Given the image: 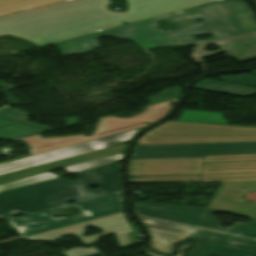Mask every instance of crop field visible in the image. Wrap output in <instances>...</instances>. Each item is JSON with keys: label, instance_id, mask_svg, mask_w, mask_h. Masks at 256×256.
Wrapping results in <instances>:
<instances>
[{"label": "crop field", "instance_id": "11", "mask_svg": "<svg viewBox=\"0 0 256 256\" xmlns=\"http://www.w3.org/2000/svg\"><path fill=\"white\" fill-rule=\"evenodd\" d=\"M141 130V129H140ZM140 130L115 135L39 155L0 164V175L129 141Z\"/></svg>", "mask_w": 256, "mask_h": 256}, {"label": "crop field", "instance_id": "33", "mask_svg": "<svg viewBox=\"0 0 256 256\" xmlns=\"http://www.w3.org/2000/svg\"><path fill=\"white\" fill-rule=\"evenodd\" d=\"M3 1H11V0H0V2H3Z\"/></svg>", "mask_w": 256, "mask_h": 256}, {"label": "crop field", "instance_id": "12", "mask_svg": "<svg viewBox=\"0 0 256 256\" xmlns=\"http://www.w3.org/2000/svg\"><path fill=\"white\" fill-rule=\"evenodd\" d=\"M89 225H94L98 228L103 229L104 233L90 236V237H83L82 235L85 233L84 227ZM127 232H132V230L126 220L124 213L122 212V213L114 214L104 218L96 219L93 221L85 222L82 224H78V225H74V226H70V227H66V228H62V229H58V230H54V231H50L42 234H37V235L25 237V238L47 239V240L54 241L61 236L72 234V235H77L79 238H81L85 244H90V243L96 242L99 236L116 234L120 242V245L125 246L132 243Z\"/></svg>", "mask_w": 256, "mask_h": 256}, {"label": "crop field", "instance_id": "13", "mask_svg": "<svg viewBox=\"0 0 256 256\" xmlns=\"http://www.w3.org/2000/svg\"><path fill=\"white\" fill-rule=\"evenodd\" d=\"M255 190L256 183L221 184L207 207L256 220V205L242 200L247 192Z\"/></svg>", "mask_w": 256, "mask_h": 256}, {"label": "crop field", "instance_id": "7", "mask_svg": "<svg viewBox=\"0 0 256 256\" xmlns=\"http://www.w3.org/2000/svg\"><path fill=\"white\" fill-rule=\"evenodd\" d=\"M256 143H206L136 146L131 159L203 157L205 155L255 154Z\"/></svg>", "mask_w": 256, "mask_h": 256}, {"label": "crop field", "instance_id": "18", "mask_svg": "<svg viewBox=\"0 0 256 256\" xmlns=\"http://www.w3.org/2000/svg\"><path fill=\"white\" fill-rule=\"evenodd\" d=\"M45 130L32 127L29 125L16 123L0 127V139H17L37 133H41Z\"/></svg>", "mask_w": 256, "mask_h": 256}, {"label": "crop field", "instance_id": "30", "mask_svg": "<svg viewBox=\"0 0 256 256\" xmlns=\"http://www.w3.org/2000/svg\"><path fill=\"white\" fill-rule=\"evenodd\" d=\"M0 35H12L18 37L13 27L0 29Z\"/></svg>", "mask_w": 256, "mask_h": 256}, {"label": "crop field", "instance_id": "9", "mask_svg": "<svg viewBox=\"0 0 256 256\" xmlns=\"http://www.w3.org/2000/svg\"><path fill=\"white\" fill-rule=\"evenodd\" d=\"M252 160H256V154L205 156L203 158L130 160L128 176L199 174L202 162Z\"/></svg>", "mask_w": 256, "mask_h": 256}, {"label": "crop field", "instance_id": "6", "mask_svg": "<svg viewBox=\"0 0 256 256\" xmlns=\"http://www.w3.org/2000/svg\"><path fill=\"white\" fill-rule=\"evenodd\" d=\"M134 210L138 215L199 225L256 238V221L253 220L249 224L236 222L232 227L223 229L217 217L211 216L215 210L210 208L134 203Z\"/></svg>", "mask_w": 256, "mask_h": 256}, {"label": "crop field", "instance_id": "20", "mask_svg": "<svg viewBox=\"0 0 256 256\" xmlns=\"http://www.w3.org/2000/svg\"><path fill=\"white\" fill-rule=\"evenodd\" d=\"M124 155H125V153L116 155V156H112V157H108V158H104V159H100V160H96V161H92V162H88V163H84V164H80V165L67 167L64 169H66L67 171H69L71 173H74V172H78V171H82V170H86V169L122 161L124 159Z\"/></svg>", "mask_w": 256, "mask_h": 256}, {"label": "crop field", "instance_id": "27", "mask_svg": "<svg viewBox=\"0 0 256 256\" xmlns=\"http://www.w3.org/2000/svg\"><path fill=\"white\" fill-rule=\"evenodd\" d=\"M192 243H186V244H182L179 246V253L176 256H182L184 250L189 247ZM146 252L148 253V255L150 256H162V255H158L156 253L150 252L148 250H146Z\"/></svg>", "mask_w": 256, "mask_h": 256}, {"label": "crop field", "instance_id": "14", "mask_svg": "<svg viewBox=\"0 0 256 256\" xmlns=\"http://www.w3.org/2000/svg\"><path fill=\"white\" fill-rule=\"evenodd\" d=\"M126 148H127V145L120 144V145H117V146H113V147L93 151V152H90V153L70 157V158H67V159H63V160L43 164V165H40V166L20 170V171H17V172L1 175L0 176V184H4V183L12 182V181H15V180H19V179H23V178H27V177H31V176H35V175H39V174H43V173H47L48 170H51V169H54V168H58V167L59 168H64V167H67V166L80 164V163H84V162H88V161H92V160H96V159H100V158H104V157L124 153L126 151Z\"/></svg>", "mask_w": 256, "mask_h": 256}, {"label": "crop field", "instance_id": "35", "mask_svg": "<svg viewBox=\"0 0 256 256\" xmlns=\"http://www.w3.org/2000/svg\"><path fill=\"white\" fill-rule=\"evenodd\" d=\"M256 3V0H253Z\"/></svg>", "mask_w": 256, "mask_h": 256}, {"label": "crop field", "instance_id": "25", "mask_svg": "<svg viewBox=\"0 0 256 256\" xmlns=\"http://www.w3.org/2000/svg\"><path fill=\"white\" fill-rule=\"evenodd\" d=\"M64 253L67 256H90V255L98 254L99 252L97 251L96 248L92 247V248H89V249L74 248V249L68 250Z\"/></svg>", "mask_w": 256, "mask_h": 256}, {"label": "crop field", "instance_id": "10", "mask_svg": "<svg viewBox=\"0 0 256 256\" xmlns=\"http://www.w3.org/2000/svg\"><path fill=\"white\" fill-rule=\"evenodd\" d=\"M130 183L256 181V161L204 163L201 176L129 179Z\"/></svg>", "mask_w": 256, "mask_h": 256}, {"label": "crop field", "instance_id": "22", "mask_svg": "<svg viewBox=\"0 0 256 256\" xmlns=\"http://www.w3.org/2000/svg\"><path fill=\"white\" fill-rule=\"evenodd\" d=\"M28 115H31V113L22 112L16 108L12 109L10 107H5L0 110V116L18 122L28 121Z\"/></svg>", "mask_w": 256, "mask_h": 256}, {"label": "crop field", "instance_id": "4", "mask_svg": "<svg viewBox=\"0 0 256 256\" xmlns=\"http://www.w3.org/2000/svg\"><path fill=\"white\" fill-rule=\"evenodd\" d=\"M138 217L152 237L151 248L165 254H171L175 244L189 238L199 227L144 216ZM199 228L200 230L191 238L197 243L188 251L187 256H256V239L254 238L204 227Z\"/></svg>", "mask_w": 256, "mask_h": 256}, {"label": "crop field", "instance_id": "21", "mask_svg": "<svg viewBox=\"0 0 256 256\" xmlns=\"http://www.w3.org/2000/svg\"><path fill=\"white\" fill-rule=\"evenodd\" d=\"M54 178H58V176L47 173V174L15 181L12 183L0 185V192L18 188V187H22V186H26V185H30V184H34V183H38V182H42V181H46V180H50V179H54Z\"/></svg>", "mask_w": 256, "mask_h": 256}, {"label": "crop field", "instance_id": "28", "mask_svg": "<svg viewBox=\"0 0 256 256\" xmlns=\"http://www.w3.org/2000/svg\"><path fill=\"white\" fill-rule=\"evenodd\" d=\"M43 226H46V222L27 223V224H24V225L16 228V229L23 228V227H27V228H30V229H35V228H39V227H43Z\"/></svg>", "mask_w": 256, "mask_h": 256}, {"label": "crop field", "instance_id": "32", "mask_svg": "<svg viewBox=\"0 0 256 256\" xmlns=\"http://www.w3.org/2000/svg\"><path fill=\"white\" fill-rule=\"evenodd\" d=\"M11 123H16V122H10V121H7V120H4V119L0 118V126L1 125H6V124H11Z\"/></svg>", "mask_w": 256, "mask_h": 256}, {"label": "crop field", "instance_id": "2", "mask_svg": "<svg viewBox=\"0 0 256 256\" xmlns=\"http://www.w3.org/2000/svg\"><path fill=\"white\" fill-rule=\"evenodd\" d=\"M197 17H201L204 21H195L194 18ZM160 20H167L176 25L175 31L167 32L157 28L156 21ZM130 29L133 30L130 31ZM255 30L256 17L246 3L242 0H221L56 44L64 55H68L99 48L96 39L98 36L129 39L138 42L140 48L146 49L180 43L199 44ZM207 33H212L215 37L199 41L194 37V35ZM143 34L146 35L143 36Z\"/></svg>", "mask_w": 256, "mask_h": 256}, {"label": "crop field", "instance_id": "17", "mask_svg": "<svg viewBox=\"0 0 256 256\" xmlns=\"http://www.w3.org/2000/svg\"><path fill=\"white\" fill-rule=\"evenodd\" d=\"M63 0H17L11 2L0 3V16L14 13L16 11H24L35 7H40Z\"/></svg>", "mask_w": 256, "mask_h": 256}, {"label": "crop field", "instance_id": "8", "mask_svg": "<svg viewBox=\"0 0 256 256\" xmlns=\"http://www.w3.org/2000/svg\"><path fill=\"white\" fill-rule=\"evenodd\" d=\"M74 204H76L79 209L90 212L91 216L83 217L78 220H75L73 218L54 219L52 218L50 213V210H53V209H49V210L37 212L34 214L11 219L10 222L12 223L13 227H18L27 222L47 221V226L43 228H39L35 230L24 228V229L18 230L19 233L23 237H25L41 231H45V230H49V229L61 227L64 225H68V224H72V223H76V222H80V221H84V220H88V219H92V218H96V217L121 211L118 192L93 198V199H89V200H85V201L74 203ZM70 205H73V204H70ZM66 206H69V205H66ZM62 207H65V206H62ZM58 208H61V207H58ZM54 209H57V208H54Z\"/></svg>", "mask_w": 256, "mask_h": 256}, {"label": "crop field", "instance_id": "29", "mask_svg": "<svg viewBox=\"0 0 256 256\" xmlns=\"http://www.w3.org/2000/svg\"><path fill=\"white\" fill-rule=\"evenodd\" d=\"M254 58H256V52L248 54V55H244V56H241V57H238V58H234V59L237 62L241 63V62L248 61V60H251V59H254Z\"/></svg>", "mask_w": 256, "mask_h": 256}, {"label": "crop field", "instance_id": "19", "mask_svg": "<svg viewBox=\"0 0 256 256\" xmlns=\"http://www.w3.org/2000/svg\"><path fill=\"white\" fill-rule=\"evenodd\" d=\"M177 120L222 124V125H227L228 123L227 120L223 119L222 113L191 111V110L183 111L182 115Z\"/></svg>", "mask_w": 256, "mask_h": 256}, {"label": "crop field", "instance_id": "16", "mask_svg": "<svg viewBox=\"0 0 256 256\" xmlns=\"http://www.w3.org/2000/svg\"><path fill=\"white\" fill-rule=\"evenodd\" d=\"M194 89L206 90L212 92L225 93L236 96H249L256 94V88L243 87L233 84H228L220 81H215L211 79H204L195 84Z\"/></svg>", "mask_w": 256, "mask_h": 256}, {"label": "crop field", "instance_id": "26", "mask_svg": "<svg viewBox=\"0 0 256 256\" xmlns=\"http://www.w3.org/2000/svg\"><path fill=\"white\" fill-rule=\"evenodd\" d=\"M0 87L3 89V91L6 93L7 95V101L10 104H17L19 103L18 100H16L12 95H10L7 91L10 89L9 86L7 84L4 83H0Z\"/></svg>", "mask_w": 256, "mask_h": 256}, {"label": "crop field", "instance_id": "1", "mask_svg": "<svg viewBox=\"0 0 256 256\" xmlns=\"http://www.w3.org/2000/svg\"><path fill=\"white\" fill-rule=\"evenodd\" d=\"M217 0H127L128 11L108 9L110 0H66L0 18L18 36L37 46L177 12Z\"/></svg>", "mask_w": 256, "mask_h": 256}, {"label": "crop field", "instance_id": "23", "mask_svg": "<svg viewBox=\"0 0 256 256\" xmlns=\"http://www.w3.org/2000/svg\"><path fill=\"white\" fill-rule=\"evenodd\" d=\"M179 93L180 92H179V86H178V87L163 90L162 92H159L156 96L147 98V100L150 102V104H152V103L179 97L180 96Z\"/></svg>", "mask_w": 256, "mask_h": 256}, {"label": "crop field", "instance_id": "5", "mask_svg": "<svg viewBox=\"0 0 256 256\" xmlns=\"http://www.w3.org/2000/svg\"><path fill=\"white\" fill-rule=\"evenodd\" d=\"M181 97L153 104L148 106L145 109V112L142 114H138L136 116H133L131 118H118V117H105V118H99V123L96 126V131L93 136L90 137H85L84 135H77V136H69V137H60V138H42L40 134L29 136L26 138H21L17 140H13L12 142L23 140L26 142V145L30 146L31 149L28 150L30 155H35L135 129H139L144 126H148V124L144 122H148L150 124H153L162 118H164L174 107H170L169 103L175 102L177 103ZM144 123V124H140ZM135 124H140V125H135ZM135 125V126H131ZM126 126H131V127H126ZM126 127V128H122ZM117 128H122L118 130H113ZM108 130H113L109 132H104ZM99 132H104L100 134H96Z\"/></svg>", "mask_w": 256, "mask_h": 256}, {"label": "crop field", "instance_id": "3", "mask_svg": "<svg viewBox=\"0 0 256 256\" xmlns=\"http://www.w3.org/2000/svg\"><path fill=\"white\" fill-rule=\"evenodd\" d=\"M121 164L115 163L79 173V181L58 178L39 184L0 193V218L11 219L14 214H28L65 205L124 189L120 175ZM97 184L99 190L90 191Z\"/></svg>", "mask_w": 256, "mask_h": 256}, {"label": "crop field", "instance_id": "15", "mask_svg": "<svg viewBox=\"0 0 256 256\" xmlns=\"http://www.w3.org/2000/svg\"><path fill=\"white\" fill-rule=\"evenodd\" d=\"M216 43L222 49L214 52H205L203 48L206 45ZM194 54L192 57L197 63L203 62L201 58L211 56L218 52L226 51L232 58L241 56L247 53L256 51V31L251 33H246L242 35H237L229 38H224L216 41H211L203 44L196 45L193 49Z\"/></svg>", "mask_w": 256, "mask_h": 256}, {"label": "crop field", "instance_id": "31", "mask_svg": "<svg viewBox=\"0 0 256 256\" xmlns=\"http://www.w3.org/2000/svg\"><path fill=\"white\" fill-rule=\"evenodd\" d=\"M24 123L29 124V125H33V126H37V127H41V128H45V129H48V130L54 129V128H50V127H46V126H42V125L30 123V122H24Z\"/></svg>", "mask_w": 256, "mask_h": 256}, {"label": "crop field", "instance_id": "24", "mask_svg": "<svg viewBox=\"0 0 256 256\" xmlns=\"http://www.w3.org/2000/svg\"><path fill=\"white\" fill-rule=\"evenodd\" d=\"M217 79H222V80L242 83V84H246V85L256 86V76L251 75V74H241V75H236L235 77L226 76V77H220Z\"/></svg>", "mask_w": 256, "mask_h": 256}, {"label": "crop field", "instance_id": "34", "mask_svg": "<svg viewBox=\"0 0 256 256\" xmlns=\"http://www.w3.org/2000/svg\"><path fill=\"white\" fill-rule=\"evenodd\" d=\"M252 73L256 74V71H255V72H252Z\"/></svg>", "mask_w": 256, "mask_h": 256}]
</instances>
